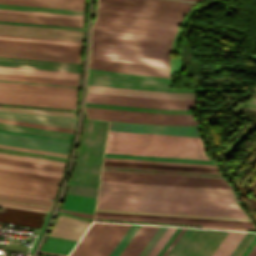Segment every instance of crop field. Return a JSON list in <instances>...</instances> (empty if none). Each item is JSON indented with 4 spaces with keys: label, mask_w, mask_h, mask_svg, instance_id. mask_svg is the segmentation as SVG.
I'll return each instance as SVG.
<instances>
[{
    "label": "crop field",
    "mask_w": 256,
    "mask_h": 256,
    "mask_svg": "<svg viewBox=\"0 0 256 256\" xmlns=\"http://www.w3.org/2000/svg\"><path fill=\"white\" fill-rule=\"evenodd\" d=\"M40 252H42V251H40ZM42 253H48V252H42ZM49 254H53V253H49ZM55 255H59V254H55ZM62 256H65V255H62Z\"/></svg>",
    "instance_id": "73"
},
{
    "label": "crop field",
    "mask_w": 256,
    "mask_h": 256,
    "mask_svg": "<svg viewBox=\"0 0 256 256\" xmlns=\"http://www.w3.org/2000/svg\"><path fill=\"white\" fill-rule=\"evenodd\" d=\"M90 57L169 67V62H166V61H158V60L94 53V52H91Z\"/></svg>",
    "instance_id": "38"
},
{
    "label": "crop field",
    "mask_w": 256,
    "mask_h": 256,
    "mask_svg": "<svg viewBox=\"0 0 256 256\" xmlns=\"http://www.w3.org/2000/svg\"><path fill=\"white\" fill-rule=\"evenodd\" d=\"M246 235V234H245ZM255 236V234L247 233V235L244 237V239L241 241V243L238 245V247L235 249V251L232 253L231 256H240V254L243 252V250L246 248V246L249 244V242L252 240V238Z\"/></svg>",
    "instance_id": "57"
},
{
    "label": "crop field",
    "mask_w": 256,
    "mask_h": 256,
    "mask_svg": "<svg viewBox=\"0 0 256 256\" xmlns=\"http://www.w3.org/2000/svg\"><path fill=\"white\" fill-rule=\"evenodd\" d=\"M0 79L78 86V81H72V80L23 77V76H11V75H0Z\"/></svg>",
    "instance_id": "40"
},
{
    "label": "crop field",
    "mask_w": 256,
    "mask_h": 256,
    "mask_svg": "<svg viewBox=\"0 0 256 256\" xmlns=\"http://www.w3.org/2000/svg\"><path fill=\"white\" fill-rule=\"evenodd\" d=\"M46 214L2 207L0 221L40 228Z\"/></svg>",
    "instance_id": "24"
},
{
    "label": "crop field",
    "mask_w": 256,
    "mask_h": 256,
    "mask_svg": "<svg viewBox=\"0 0 256 256\" xmlns=\"http://www.w3.org/2000/svg\"><path fill=\"white\" fill-rule=\"evenodd\" d=\"M44 1H56V2H67V3H79V4H84L80 2H68V1H57V0H44Z\"/></svg>",
    "instance_id": "71"
},
{
    "label": "crop field",
    "mask_w": 256,
    "mask_h": 256,
    "mask_svg": "<svg viewBox=\"0 0 256 256\" xmlns=\"http://www.w3.org/2000/svg\"><path fill=\"white\" fill-rule=\"evenodd\" d=\"M0 48L81 55V51L0 44Z\"/></svg>",
    "instance_id": "42"
},
{
    "label": "crop field",
    "mask_w": 256,
    "mask_h": 256,
    "mask_svg": "<svg viewBox=\"0 0 256 256\" xmlns=\"http://www.w3.org/2000/svg\"><path fill=\"white\" fill-rule=\"evenodd\" d=\"M87 115L89 118H94V119L123 121V122L150 123V124L197 125L195 121H159V120L125 118V117H114V116H103V115H92V114H87Z\"/></svg>",
    "instance_id": "34"
},
{
    "label": "crop field",
    "mask_w": 256,
    "mask_h": 256,
    "mask_svg": "<svg viewBox=\"0 0 256 256\" xmlns=\"http://www.w3.org/2000/svg\"><path fill=\"white\" fill-rule=\"evenodd\" d=\"M0 129H3V128H0ZM3 130L16 131V130H10V129H3ZM16 132L29 133V132H23V131H16ZM29 134L42 135V134H36V133H29ZM42 136H49V135H42ZM49 137H55V136H49ZM55 138H62V137H55ZM62 139H68V138H62ZM68 140H71V139H68Z\"/></svg>",
    "instance_id": "69"
},
{
    "label": "crop field",
    "mask_w": 256,
    "mask_h": 256,
    "mask_svg": "<svg viewBox=\"0 0 256 256\" xmlns=\"http://www.w3.org/2000/svg\"><path fill=\"white\" fill-rule=\"evenodd\" d=\"M4 172H11L17 174H24L30 176H37L43 178H50L59 180L57 177H50L44 175L30 174L24 172L3 170ZM0 172V193L13 194L19 196L33 197L39 199L49 200L54 198L59 181L43 179L37 177L23 176L17 174H10Z\"/></svg>",
    "instance_id": "7"
},
{
    "label": "crop field",
    "mask_w": 256,
    "mask_h": 256,
    "mask_svg": "<svg viewBox=\"0 0 256 256\" xmlns=\"http://www.w3.org/2000/svg\"><path fill=\"white\" fill-rule=\"evenodd\" d=\"M139 227L140 226L131 225V227L128 229V231L123 236L118 245L115 247L110 256H118L124 249V247L127 245V243L130 241V239L133 237V235L136 233V231L139 229Z\"/></svg>",
    "instance_id": "50"
},
{
    "label": "crop field",
    "mask_w": 256,
    "mask_h": 256,
    "mask_svg": "<svg viewBox=\"0 0 256 256\" xmlns=\"http://www.w3.org/2000/svg\"><path fill=\"white\" fill-rule=\"evenodd\" d=\"M104 157L214 164L212 161H204V160L173 159V158H158V157H143V156H127V155H112V154H105Z\"/></svg>",
    "instance_id": "44"
},
{
    "label": "crop field",
    "mask_w": 256,
    "mask_h": 256,
    "mask_svg": "<svg viewBox=\"0 0 256 256\" xmlns=\"http://www.w3.org/2000/svg\"><path fill=\"white\" fill-rule=\"evenodd\" d=\"M103 165L218 173L215 165L104 158Z\"/></svg>",
    "instance_id": "15"
},
{
    "label": "crop field",
    "mask_w": 256,
    "mask_h": 256,
    "mask_svg": "<svg viewBox=\"0 0 256 256\" xmlns=\"http://www.w3.org/2000/svg\"><path fill=\"white\" fill-rule=\"evenodd\" d=\"M97 208L248 218L239 205L99 196Z\"/></svg>",
    "instance_id": "4"
},
{
    "label": "crop field",
    "mask_w": 256,
    "mask_h": 256,
    "mask_svg": "<svg viewBox=\"0 0 256 256\" xmlns=\"http://www.w3.org/2000/svg\"><path fill=\"white\" fill-rule=\"evenodd\" d=\"M0 66L79 72L80 64L0 57Z\"/></svg>",
    "instance_id": "21"
},
{
    "label": "crop field",
    "mask_w": 256,
    "mask_h": 256,
    "mask_svg": "<svg viewBox=\"0 0 256 256\" xmlns=\"http://www.w3.org/2000/svg\"><path fill=\"white\" fill-rule=\"evenodd\" d=\"M68 193L96 197L97 189L70 184Z\"/></svg>",
    "instance_id": "54"
},
{
    "label": "crop field",
    "mask_w": 256,
    "mask_h": 256,
    "mask_svg": "<svg viewBox=\"0 0 256 256\" xmlns=\"http://www.w3.org/2000/svg\"><path fill=\"white\" fill-rule=\"evenodd\" d=\"M0 168L61 177L62 173L0 164Z\"/></svg>",
    "instance_id": "52"
},
{
    "label": "crop field",
    "mask_w": 256,
    "mask_h": 256,
    "mask_svg": "<svg viewBox=\"0 0 256 256\" xmlns=\"http://www.w3.org/2000/svg\"><path fill=\"white\" fill-rule=\"evenodd\" d=\"M89 68L157 76V77H165V78H168V72H169V68H165V67H157V66H149V65L93 59V58H90Z\"/></svg>",
    "instance_id": "16"
},
{
    "label": "crop field",
    "mask_w": 256,
    "mask_h": 256,
    "mask_svg": "<svg viewBox=\"0 0 256 256\" xmlns=\"http://www.w3.org/2000/svg\"><path fill=\"white\" fill-rule=\"evenodd\" d=\"M85 106L102 107V108H113V109H125V110H137V111H148V112H160V113L189 114V110H160V109L125 107V106H114V105H103V104H91V103H86Z\"/></svg>",
    "instance_id": "43"
},
{
    "label": "crop field",
    "mask_w": 256,
    "mask_h": 256,
    "mask_svg": "<svg viewBox=\"0 0 256 256\" xmlns=\"http://www.w3.org/2000/svg\"><path fill=\"white\" fill-rule=\"evenodd\" d=\"M0 156L1 157L21 159V160L41 162V163L55 164V165H61V166L65 165V163H62V162L43 160V159H37V158H31V157H24V156H18V155L6 154V153H0Z\"/></svg>",
    "instance_id": "56"
},
{
    "label": "crop field",
    "mask_w": 256,
    "mask_h": 256,
    "mask_svg": "<svg viewBox=\"0 0 256 256\" xmlns=\"http://www.w3.org/2000/svg\"><path fill=\"white\" fill-rule=\"evenodd\" d=\"M167 80L164 78L100 71L89 69L88 84L163 91V92H193L192 90H167Z\"/></svg>",
    "instance_id": "10"
},
{
    "label": "crop field",
    "mask_w": 256,
    "mask_h": 256,
    "mask_svg": "<svg viewBox=\"0 0 256 256\" xmlns=\"http://www.w3.org/2000/svg\"><path fill=\"white\" fill-rule=\"evenodd\" d=\"M0 20L83 27L84 19L0 12Z\"/></svg>",
    "instance_id": "20"
},
{
    "label": "crop field",
    "mask_w": 256,
    "mask_h": 256,
    "mask_svg": "<svg viewBox=\"0 0 256 256\" xmlns=\"http://www.w3.org/2000/svg\"><path fill=\"white\" fill-rule=\"evenodd\" d=\"M0 152H6V153H12V154H18V155L31 156V157H37V158H43V159H50V160H56V161L65 162V161H63V160H57V159H51V158H44V157H38V156H32V155H25V154H19V153L7 152V151H0Z\"/></svg>",
    "instance_id": "68"
},
{
    "label": "crop field",
    "mask_w": 256,
    "mask_h": 256,
    "mask_svg": "<svg viewBox=\"0 0 256 256\" xmlns=\"http://www.w3.org/2000/svg\"><path fill=\"white\" fill-rule=\"evenodd\" d=\"M91 222L59 215L50 236L79 240Z\"/></svg>",
    "instance_id": "23"
},
{
    "label": "crop field",
    "mask_w": 256,
    "mask_h": 256,
    "mask_svg": "<svg viewBox=\"0 0 256 256\" xmlns=\"http://www.w3.org/2000/svg\"><path fill=\"white\" fill-rule=\"evenodd\" d=\"M0 90H4V91H15V92H27V93H38V94H49V95H61V96H72V97H77V95H71V94L46 93V92H33V91L8 90V89H0Z\"/></svg>",
    "instance_id": "60"
},
{
    "label": "crop field",
    "mask_w": 256,
    "mask_h": 256,
    "mask_svg": "<svg viewBox=\"0 0 256 256\" xmlns=\"http://www.w3.org/2000/svg\"><path fill=\"white\" fill-rule=\"evenodd\" d=\"M96 211L250 221L249 219H241V218L210 217V216H195V215H180V214L150 213V212H134V211H119V210H104V209H97Z\"/></svg>",
    "instance_id": "47"
},
{
    "label": "crop field",
    "mask_w": 256,
    "mask_h": 256,
    "mask_svg": "<svg viewBox=\"0 0 256 256\" xmlns=\"http://www.w3.org/2000/svg\"><path fill=\"white\" fill-rule=\"evenodd\" d=\"M102 175L227 183L224 179L102 171Z\"/></svg>",
    "instance_id": "32"
},
{
    "label": "crop field",
    "mask_w": 256,
    "mask_h": 256,
    "mask_svg": "<svg viewBox=\"0 0 256 256\" xmlns=\"http://www.w3.org/2000/svg\"><path fill=\"white\" fill-rule=\"evenodd\" d=\"M85 111L86 113H92V114L126 116V117H137V118L159 119V120H193L192 117L160 116V115H148V114L113 112V111L90 110V109H85Z\"/></svg>",
    "instance_id": "36"
},
{
    "label": "crop field",
    "mask_w": 256,
    "mask_h": 256,
    "mask_svg": "<svg viewBox=\"0 0 256 256\" xmlns=\"http://www.w3.org/2000/svg\"><path fill=\"white\" fill-rule=\"evenodd\" d=\"M172 39L93 29L91 51L166 60Z\"/></svg>",
    "instance_id": "3"
},
{
    "label": "crop field",
    "mask_w": 256,
    "mask_h": 256,
    "mask_svg": "<svg viewBox=\"0 0 256 256\" xmlns=\"http://www.w3.org/2000/svg\"><path fill=\"white\" fill-rule=\"evenodd\" d=\"M90 108V107H85ZM90 109H102V108H90ZM102 110H113V109H102ZM113 111H125V110H113ZM125 112H137V111H125ZM137 113H148V112H137ZM148 114H160V113H148ZM160 115H178V114H160Z\"/></svg>",
    "instance_id": "64"
},
{
    "label": "crop field",
    "mask_w": 256,
    "mask_h": 256,
    "mask_svg": "<svg viewBox=\"0 0 256 256\" xmlns=\"http://www.w3.org/2000/svg\"><path fill=\"white\" fill-rule=\"evenodd\" d=\"M0 127L71 138L72 134L0 123Z\"/></svg>",
    "instance_id": "46"
},
{
    "label": "crop field",
    "mask_w": 256,
    "mask_h": 256,
    "mask_svg": "<svg viewBox=\"0 0 256 256\" xmlns=\"http://www.w3.org/2000/svg\"><path fill=\"white\" fill-rule=\"evenodd\" d=\"M101 180L231 189L228 184L102 176Z\"/></svg>",
    "instance_id": "27"
},
{
    "label": "crop field",
    "mask_w": 256,
    "mask_h": 256,
    "mask_svg": "<svg viewBox=\"0 0 256 256\" xmlns=\"http://www.w3.org/2000/svg\"><path fill=\"white\" fill-rule=\"evenodd\" d=\"M0 199L23 202V203H29V204H35V205H41V206H47V207H51V205H52V202H50V201L30 199V198L4 195V194H0Z\"/></svg>",
    "instance_id": "51"
},
{
    "label": "crop field",
    "mask_w": 256,
    "mask_h": 256,
    "mask_svg": "<svg viewBox=\"0 0 256 256\" xmlns=\"http://www.w3.org/2000/svg\"><path fill=\"white\" fill-rule=\"evenodd\" d=\"M0 143L7 145H14L20 147H27L33 149H40L59 153H68L70 143L18 136L12 134L0 133Z\"/></svg>",
    "instance_id": "17"
},
{
    "label": "crop field",
    "mask_w": 256,
    "mask_h": 256,
    "mask_svg": "<svg viewBox=\"0 0 256 256\" xmlns=\"http://www.w3.org/2000/svg\"><path fill=\"white\" fill-rule=\"evenodd\" d=\"M95 218L133 220V221H144V222H160V223L195 224V225H203V228H213V229L255 230L253 225H241V224L166 220V219H150V218H135V217H119V216H103V215H96Z\"/></svg>",
    "instance_id": "25"
},
{
    "label": "crop field",
    "mask_w": 256,
    "mask_h": 256,
    "mask_svg": "<svg viewBox=\"0 0 256 256\" xmlns=\"http://www.w3.org/2000/svg\"><path fill=\"white\" fill-rule=\"evenodd\" d=\"M0 147L9 148V149H16V150H23V151H29V152H36V153H43V154H50V155H56V156H63V157L67 156V155H64V154L45 152V151H39V150H32V149H26V148H20V147H13V146L1 145V144H0Z\"/></svg>",
    "instance_id": "59"
},
{
    "label": "crop field",
    "mask_w": 256,
    "mask_h": 256,
    "mask_svg": "<svg viewBox=\"0 0 256 256\" xmlns=\"http://www.w3.org/2000/svg\"><path fill=\"white\" fill-rule=\"evenodd\" d=\"M105 153L208 159L199 137L116 131H109Z\"/></svg>",
    "instance_id": "1"
},
{
    "label": "crop field",
    "mask_w": 256,
    "mask_h": 256,
    "mask_svg": "<svg viewBox=\"0 0 256 256\" xmlns=\"http://www.w3.org/2000/svg\"><path fill=\"white\" fill-rule=\"evenodd\" d=\"M60 211L66 212V213H70V214H74V215H78V216L93 218V215H90V214L77 213V212H70V211H64V210H60Z\"/></svg>",
    "instance_id": "66"
},
{
    "label": "crop field",
    "mask_w": 256,
    "mask_h": 256,
    "mask_svg": "<svg viewBox=\"0 0 256 256\" xmlns=\"http://www.w3.org/2000/svg\"><path fill=\"white\" fill-rule=\"evenodd\" d=\"M248 256H256V245H255V247L252 249V251L249 253Z\"/></svg>",
    "instance_id": "70"
},
{
    "label": "crop field",
    "mask_w": 256,
    "mask_h": 256,
    "mask_svg": "<svg viewBox=\"0 0 256 256\" xmlns=\"http://www.w3.org/2000/svg\"><path fill=\"white\" fill-rule=\"evenodd\" d=\"M87 92L92 93H104V94H115V95H127V96H138V97H149V98H161V99H195L193 93H162L102 86L88 85Z\"/></svg>",
    "instance_id": "19"
},
{
    "label": "crop field",
    "mask_w": 256,
    "mask_h": 256,
    "mask_svg": "<svg viewBox=\"0 0 256 256\" xmlns=\"http://www.w3.org/2000/svg\"><path fill=\"white\" fill-rule=\"evenodd\" d=\"M0 81L17 82V83H29V82H18V81H7V80H0ZM29 84H40V83H29ZM40 85H51V84H40ZM51 86H62V85H51ZM62 87H73V86H62ZM73 88H78V87H73Z\"/></svg>",
    "instance_id": "67"
},
{
    "label": "crop field",
    "mask_w": 256,
    "mask_h": 256,
    "mask_svg": "<svg viewBox=\"0 0 256 256\" xmlns=\"http://www.w3.org/2000/svg\"><path fill=\"white\" fill-rule=\"evenodd\" d=\"M255 244H256V236L253 238V240L250 242V244L247 246V248L244 250L241 256H247Z\"/></svg>",
    "instance_id": "62"
},
{
    "label": "crop field",
    "mask_w": 256,
    "mask_h": 256,
    "mask_svg": "<svg viewBox=\"0 0 256 256\" xmlns=\"http://www.w3.org/2000/svg\"><path fill=\"white\" fill-rule=\"evenodd\" d=\"M99 195L238 204L233 190L108 181Z\"/></svg>",
    "instance_id": "2"
},
{
    "label": "crop field",
    "mask_w": 256,
    "mask_h": 256,
    "mask_svg": "<svg viewBox=\"0 0 256 256\" xmlns=\"http://www.w3.org/2000/svg\"><path fill=\"white\" fill-rule=\"evenodd\" d=\"M76 242L75 240L48 237L41 250L68 255Z\"/></svg>",
    "instance_id": "35"
},
{
    "label": "crop field",
    "mask_w": 256,
    "mask_h": 256,
    "mask_svg": "<svg viewBox=\"0 0 256 256\" xmlns=\"http://www.w3.org/2000/svg\"><path fill=\"white\" fill-rule=\"evenodd\" d=\"M227 233L186 228L166 256H211Z\"/></svg>",
    "instance_id": "9"
},
{
    "label": "crop field",
    "mask_w": 256,
    "mask_h": 256,
    "mask_svg": "<svg viewBox=\"0 0 256 256\" xmlns=\"http://www.w3.org/2000/svg\"><path fill=\"white\" fill-rule=\"evenodd\" d=\"M109 130L198 136V128L188 126H153L110 122Z\"/></svg>",
    "instance_id": "18"
},
{
    "label": "crop field",
    "mask_w": 256,
    "mask_h": 256,
    "mask_svg": "<svg viewBox=\"0 0 256 256\" xmlns=\"http://www.w3.org/2000/svg\"><path fill=\"white\" fill-rule=\"evenodd\" d=\"M0 3L84 10V5H79V4H67V3L44 2V1H33V0H0Z\"/></svg>",
    "instance_id": "39"
},
{
    "label": "crop field",
    "mask_w": 256,
    "mask_h": 256,
    "mask_svg": "<svg viewBox=\"0 0 256 256\" xmlns=\"http://www.w3.org/2000/svg\"><path fill=\"white\" fill-rule=\"evenodd\" d=\"M0 11H9V12H20V13H32V14H43V15H55V16H66V17L83 18V16H78V15H66V14L43 13V12H32V11H20V10H9V9H0Z\"/></svg>",
    "instance_id": "58"
},
{
    "label": "crop field",
    "mask_w": 256,
    "mask_h": 256,
    "mask_svg": "<svg viewBox=\"0 0 256 256\" xmlns=\"http://www.w3.org/2000/svg\"><path fill=\"white\" fill-rule=\"evenodd\" d=\"M184 230L185 228H182V230L179 232V234L176 236V238L173 240L171 245L168 247V249L165 251V253L162 256H165L168 253V251L171 249V247L174 245V243L176 242V240L179 238V236L182 234Z\"/></svg>",
    "instance_id": "65"
},
{
    "label": "crop field",
    "mask_w": 256,
    "mask_h": 256,
    "mask_svg": "<svg viewBox=\"0 0 256 256\" xmlns=\"http://www.w3.org/2000/svg\"><path fill=\"white\" fill-rule=\"evenodd\" d=\"M175 229L176 228L168 227V229L165 231V233L162 235V237L159 239V241L156 243V245L147 256H156L160 249L163 247V245L166 243V241L169 239V237L172 235V233L175 231Z\"/></svg>",
    "instance_id": "53"
},
{
    "label": "crop field",
    "mask_w": 256,
    "mask_h": 256,
    "mask_svg": "<svg viewBox=\"0 0 256 256\" xmlns=\"http://www.w3.org/2000/svg\"><path fill=\"white\" fill-rule=\"evenodd\" d=\"M0 88L71 93V94H77V90H78V89H72V88L24 85V84H14V83H4V82H0Z\"/></svg>",
    "instance_id": "37"
},
{
    "label": "crop field",
    "mask_w": 256,
    "mask_h": 256,
    "mask_svg": "<svg viewBox=\"0 0 256 256\" xmlns=\"http://www.w3.org/2000/svg\"><path fill=\"white\" fill-rule=\"evenodd\" d=\"M68 1H80V2H85V0H68Z\"/></svg>",
    "instance_id": "72"
},
{
    "label": "crop field",
    "mask_w": 256,
    "mask_h": 256,
    "mask_svg": "<svg viewBox=\"0 0 256 256\" xmlns=\"http://www.w3.org/2000/svg\"><path fill=\"white\" fill-rule=\"evenodd\" d=\"M129 227L94 223L69 256H108Z\"/></svg>",
    "instance_id": "8"
},
{
    "label": "crop field",
    "mask_w": 256,
    "mask_h": 256,
    "mask_svg": "<svg viewBox=\"0 0 256 256\" xmlns=\"http://www.w3.org/2000/svg\"><path fill=\"white\" fill-rule=\"evenodd\" d=\"M0 206L12 207V208H18V209H25V210H31V211H38V212L48 213V211H46V210L33 209V208H26V207L13 206V205H7V204H0Z\"/></svg>",
    "instance_id": "61"
},
{
    "label": "crop field",
    "mask_w": 256,
    "mask_h": 256,
    "mask_svg": "<svg viewBox=\"0 0 256 256\" xmlns=\"http://www.w3.org/2000/svg\"><path fill=\"white\" fill-rule=\"evenodd\" d=\"M102 2H110L124 5H132L146 8H154L168 11H176L187 13L192 5L182 2H174L167 0H99ZM98 3L97 14L126 17L150 21H159L167 23L179 24L185 16L183 13H175L161 10H153L139 7H131L109 3Z\"/></svg>",
    "instance_id": "6"
},
{
    "label": "crop field",
    "mask_w": 256,
    "mask_h": 256,
    "mask_svg": "<svg viewBox=\"0 0 256 256\" xmlns=\"http://www.w3.org/2000/svg\"><path fill=\"white\" fill-rule=\"evenodd\" d=\"M83 31L0 24V34L82 41Z\"/></svg>",
    "instance_id": "14"
},
{
    "label": "crop field",
    "mask_w": 256,
    "mask_h": 256,
    "mask_svg": "<svg viewBox=\"0 0 256 256\" xmlns=\"http://www.w3.org/2000/svg\"><path fill=\"white\" fill-rule=\"evenodd\" d=\"M0 43L81 50L82 42L0 35Z\"/></svg>",
    "instance_id": "22"
},
{
    "label": "crop field",
    "mask_w": 256,
    "mask_h": 256,
    "mask_svg": "<svg viewBox=\"0 0 256 256\" xmlns=\"http://www.w3.org/2000/svg\"><path fill=\"white\" fill-rule=\"evenodd\" d=\"M0 74L78 80L79 73L0 67Z\"/></svg>",
    "instance_id": "28"
},
{
    "label": "crop field",
    "mask_w": 256,
    "mask_h": 256,
    "mask_svg": "<svg viewBox=\"0 0 256 256\" xmlns=\"http://www.w3.org/2000/svg\"><path fill=\"white\" fill-rule=\"evenodd\" d=\"M0 8L43 11V12H55V13H66V14H78V15H83L84 14V11H79V10H67V9H56V8L10 5V4H0Z\"/></svg>",
    "instance_id": "41"
},
{
    "label": "crop field",
    "mask_w": 256,
    "mask_h": 256,
    "mask_svg": "<svg viewBox=\"0 0 256 256\" xmlns=\"http://www.w3.org/2000/svg\"><path fill=\"white\" fill-rule=\"evenodd\" d=\"M1 118L43 123L49 125L63 126V127H74L75 119L70 118H60V117H51V116H37V115H23V114H14V113H5L0 112Z\"/></svg>",
    "instance_id": "29"
},
{
    "label": "crop field",
    "mask_w": 256,
    "mask_h": 256,
    "mask_svg": "<svg viewBox=\"0 0 256 256\" xmlns=\"http://www.w3.org/2000/svg\"><path fill=\"white\" fill-rule=\"evenodd\" d=\"M0 132H5V133H12V134H19V135H25V136H32V137H39V138H46V139H53V140H60V141H67V142H70V141H68V140L55 139V138L42 137V136H35V135L22 134V133H16V132H9V131H3V130H0Z\"/></svg>",
    "instance_id": "63"
},
{
    "label": "crop field",
    "mask_w": 256,
    "mask_h": 256,
    "mask_svg": "<svg viewBox=\"0 0 256 256\" xmlns=\"http://www.w3.org/2000/svg\"><path fill=\"white\" fill-rule=\"evenodd\" d=\"M0 122L17 124V125H24V126H30V127H37V128H43V129H50V130H56V131H63V132H69V133L73 132V129H70V128L49 126V125L22 122V121H15V120H8V119H1V118H0Z\"/></svg>",
    "instance_id": "49"
},
{
    "label": "crop field",
    "mask_w": 256,
    "mask_h": 256,
    "mask_svg": "<svg viewBox=\"0 0 256 256\" xmlns=\"http://www.w3.org/2000/svg\"><path fill=\"white\" fill-rule=\"evenodd\" d=\"M0 56L80 63L81 56L0 49Z\"/></svg>",
    "instance_id": "26"
},
{
    "label": "crop field",
    "mask_w": 256,
    "mask_h": 256,
    "mask_svg": "<svg viewBox=\"0 0 256 256\" xmlns=\"http://www.w3.org/2000/svg\"><path fill=\"white\" fill-rule=\"evenodd\" d=\"M179 25L97 15L93 28L173 38Z\"/></svg>",
    "instance_id": "11"
},
{
    "label": "crop field",
    "mask_w": 256,
    "mask_h": 256,
    "mask_svg": "<svg viewBox=\"0 0 256 256\" xmlns=\"http://www.w3.org/2000/svg\"><path fill=\"white\" fill-rule=\"evenodd\" d=\"M166 229H167V227H159V229L156 231V233L153 235V237L147 243V245L142 250V252L139 254V256H146Z\"/></svg>",
    "instance_id": "55"
},
{
    "label": "crop field",
    "mask_w": 256,
    "mask_h": 256,
    "mask_svg": "<svg viewBox=\"0 0 256 256\" xmlns=\"http://www.w3.org/2000/svg\"><path fill=\"white\" fill-rule=\"evenodd\" d=\"M0 110L42 114V115L68 116V117H74V115H75V113H70V112H58V111L35 110V109L1 107V106H0Z\"/></svg>",
    "instance_id": "45"
},
{
    "label": "crop field",
    "mask_w": 256,
    "mask_h": 256,
    "mask_svg": "<svg viewBox=\"0 0 256 256\" xmlns=\"http://www.w3.org/2000/svg\"><path fill=\"white\" fill-rule=\"evenodd\" d=\"M158 227L141 226L120 256H138Z\"/></svg>",
    "instance_id": "30"
},
{
    "label": "crop field",
    "mask_w": 256,
    "mask_h": 256,
    "mask_svg": "<svg viewBox=\"0 0 256 256\" xmlns=\"http://www.w3.org/2000/svg\"><path fill=\"white\" fill-rule=\"evenodd\" d=\"M95 201L96 198L93 197L67 194L61 209L93 214Z\"/></svg>",
    "instance_id": "31"
},
{
    "label": "crop field",
    "mask_w": 256,
    "mask_h": 256,
    "mask_svg": "<svg viewBox=\"0 0 256 256\" xmlns=\"http://www.w3.org/2000/svg\"><path fill=\"white\" fill-rule=\"evenodd\" d=\"M108 123L84 119L79 155L70 183L98 187Z\"/></svg>",
    "instance_id": "5"
},
{
    "label": "crop field",
    "mask_w": 256,
    "mask_h": 256,
    "mask_svg": "<svg viewBox=\"0 0 256 256\" xmlns=\"http://www.w3.org/2000/svg\"><path fill=\"white\" fill-rule=\"evenodd\" d=\"M77 98L0 91L1 103L75 109Z\"/></svg>",
    "instance_id": "13"
},
{
    "label": "crop field",
    "mask_w": 256,
    "mask_h": 256,
    "mask_svg": "<svg viewBox=\"0 0 256 256\" xmlns=\"http://www.w3.org/2000/svg\"><path fill=\"white\" fill-rule=\"evenodd\" d=\"M96 214L120 215V216H137V217H153V218H170V219H186V220H200V221H213V222H229V223H245V224H252V222H244V221L212 220V219L181 218V217L150 216V215H134V214H119V213H103V212H96Z\"/></svg>",
    "instance_id": "48"
},
{
    "label": "crop field",
    "mask_w": 256,
    "mask_h": 256,
    "mask_svg": "<svg viewBox=\"0 0 256 256\" xmlns=\"http://www.w3.org/2000/svg\"><path fill=\"white\" fill-rule=\"evenodd\" d=\"M86 102L160 109H193L195 100H161L87 93Z\"/></svg>",
    "instance_id": "12"
},
{
    "label": "crop field",
    "mask_w": 256,
    "mask_h": 256,
    "mask_svg": "<svg viewBox=\"0 0 256 256\" xmlns=\"http://www.w3.org/2000/svg\"><path fill=\"white\" fill-rule=\"evenodd\" d=\"M245 234L244 232L229 231L212 256H230Z\"/></svg>",
    "instance_id": "33"
}]
</instances>
